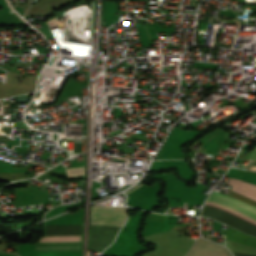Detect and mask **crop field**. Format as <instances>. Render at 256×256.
Listing matches in <instances>:
<instances>
[{
  "instance_id": "obj_9",
  "label": "crop field",
  "mask_w": 256,
  "mask_h": 256,
  "mask_svg": "<svg viewBox=\"0 0 256 256\" xmlns=\"http://www.w3.org/2000/svg\"><path fill=\"white\" fill-rule=\"evenodd\" d=\"M205 204H209V205L218 207V208H220V209H222V210H224V211H226V212H229V213H231V214H233V215H235V216H237V217H240V218H242V219H245V220H247V221H249V222H252V223L256 224V221H254V220H252V219H250V218H248V217H246V216H243V215H241V214H239V213H237V212H235V211H233V210H231V209H229V208H226V207H223V206H221V205L214 204V203H211V202H207V201H206Z\"/></svg>"
},
{
  "instance_id": "obj_4",
  "label": "crop field",
  "mask_w": 256,
  "mask_h": 256,
  "mask_svg": "<svg viewBox=\"0 0 256 256\" xmlns=\"http://www.w3.org/2000/svg\"><path fill=\"white\" fill-rule=\"evenodd\" d=\"M186 256H232L225 248L208 240L197 239Z\"/></svg>"
},
{
  "instance_id": "obj_6",
  "label": "crop field",
  "mask_w": 256,
  "mask_h": 256,
  "mask_svg": "<svg viewBox=\"0 0 256 256\" xmlns=\"http://www.w3.org/2000/svg\"><path fill=\"white\" fill-rule=\"evenodd\" d=\"M228 184L232 185L231 190L256 201V186L230 178Z\"/></svg>"
},
{
  "instance_id": "obj_3",
  "label": "crop field",
  "mask_w": 256,
  "mask_h": 256,
  "mask_svg": "<svg viewBox=\"0 0 256 256\" xmlns=\"http://www.w3.org/2000/svg\"><path fill=\"white\" fill-rule=\"evenodd\" d=\"M207 201H211L214 203L224 205L226 207H229L237 212H240V213L256 220V208L255 207L247 205L243 202H240V201L230 198L228 196H225V195H222V194H219V193L213 191L212 194L207 199Z\"/></svg>"
},
{
  "instance_id": "obj_2",
  "label": "crop field",
  "mask_w": 256,
  "mask_h": 256,
  "mask_svg": "<svg viewBox=\"0 0 256 256\" xmlns=\"http://www.w3.org/2000/svg\"><path fill=\"white\" fill-rule=\"evenodd\" d=\"M119 228L91 225L90 249H104L112 243Z\"/></svg>"
},
{
  "instance_id": "obj_8",
  "label": "crop field",
  "mask_w": 256,
  "mask_h": 256,
  "mask_svg": "<svg viewBox=\"0 0 256 256\" xmlns=\"http://www.w3.org/2000/svg\"><path fill=\"white\" fill-rule=\"evenodd\" d=\"M36 249H80V244L69 245H37Z\"/></svg>"
},
{
  "instance_id": "obj_14",
  "label": "crop field",
  "mask_w": 256,
  "mask_h": 256,
  "mask_svg": "<svg viewBox=\"0 0 256 256\" xmlns=\"http://www.w3.org/2000/svg\"><path fill=\"white\" fill-rule=\"evenodd\" d=\"M250 164L251 165H256V162L251 161Z\"/></svg>"
},
{
  "instance_id": "obj_12",
  "label": "crop field",
  "mask_w": 256,
  "mask_h": 256,
  "mask_svg": "<svg viewBox=\"0 0 256 256\" xmlns=\"http://www.w3.org/2000/svg\"><path fill=\"white\" fill-rule=\"evenodd\" d=\"M245 158L256 161V149L252 151L250 154H248Z\"/></svg>"
},
{
  "instance_id": "obj_11",
  "label": "crop field",
  "mask_w": 256,
  "mask_h": 256,
  "mask_svg": "<svg viewBox=\"0 0 256 256\" xmlns=\"http://www.w3.org/2000/svg\"><path fill=\"white\" fill-rule=\"evenodd\" d=\"M228 196L233 197V198H235V199H238V200H240V201H243V202H245V203H248V204H250V205L256 207V202H255V201L250 200V199H248V198H245V197H243V196H241V195H238V194H236V193H234V192H232V191L229 192Z\"/></svg>"
},
{
  "instance_id": "obj_13",
  "label": "crop field",
  "mask_w": 256,
  "mask_h": 256,
  "mask_svg": "<svg viewBox=\"0 0 256 256\" xmlns=\"http://www.w3.org/2000/svg\"><path fill=\"white\" fill-rule=\"evenodd\" d=\"M234 256H252V255H245V254H236V253H233Z\"/></svg>"
},
{
  "instance_id": "obj_5",
  "label": "crop field",
  "mask_w": 256,
  "mask_h": 256,
  "mask_svg": "<svg viewBox=\"0 0 256 256\" xmlns=\"http://www.w3.org/2000/svg\"><path fill=\"white\" fill-rule=\"evenodd\" d=\"M80 235V225H45V236Z\"/></svg>"
},
{
  "instance_id": "obj_7",
  "label": "crop field",
  "mask_w": 256,
  "mask_h": 256,
  "mask_svg": "<svg viewBox=\"0 0 256 256\" xmlns=\"http://www.w3.org/2000/svg\"><path fill=\"white\" fill-rule=\"evenodd\" d=\"M80 236H51V237H43L39 242L45 241H80Z\"/></svg>"
},
{
  "instance_id": "obj_10",
  "label": "crop field",
  "mask_w": 256,
  "mask_h": 256,
  "mask_svg": "<svg viewBox=\"0 0 256 256\" xmlns=\"http://www.w3.org/2000/svg\"><path fill=\"white\" fill-rule=\"evenodd\" d=\"M26 177L25 173H0V179H18Z\"/></svg>"
},
{
  "instance_id": "obj_1",
  "label": "crop field",
  "mask_w": 256,
  "mask_h": 256,
  "mask_svg": "<svg viewBox=\"0 0 256 256\" xmlns=\"http://www.w3.org/2000/svg\"><path fill=\"white\" fill-rule=\"evenodd\" d=\"M126 218L125 208L92 206L91 224L121 227Z\"/></svg>"
}]
</instances>
